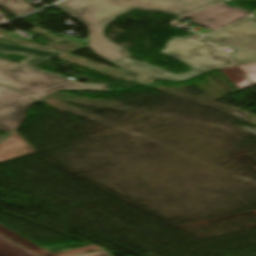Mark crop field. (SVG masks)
<instances>
[{
    "label": "crop field",
    "mask_w": 256,
    "mask_h": 256,
    "mask_svg": "<svg viewBox=\"0 0 256 256\" xmlns=\"http://www.w3.org/2000/svg\"><path fill=\"white\" fill-rule=\"evenodd\" d=\"M221 3V0H100L67 12L89 28L90 49L114 63L129 55L102 36L104 25L133 9L187 15Z\"/></svg>",
    "instance_id": "obj_1"
},
{
    "label": "crop field",
    "mask_w": 256,
    "mask_h": 256,
    "mask_svg": "<svg viewBox=\"0 0 256 256\" xmlns=\"http://www.w3.org/2000/svg\"><path fill=\"white\" fill-rule=\"evenodd\" d=\"M201 41L196 37H173L166 44L167 48L161 51L188 64L193 69V72L190 73L173 75L129 58L114 64L135 75L141 84L156 79L187 80L208 70L235 65L227 53Z\"/></svg>",
    "instance_id": "obj_2"
},
{
    "label": "crop field",
    "mask_w": 256,
    "mask_h": 256,
    "mask_svg": "<svg viewBox=\"0 0 256 256\" xmlns=\"http://www.w3.org/2000/svg\"><path fill=\"white\" fill-rule=\"evenodd\" d=\"M0 84L20 90L37 100L57 89L108 91L107 85L70 81L58 75L1 60Z\"/></svg>",
    "instance_id": "obj_3"
},
{
    "label": "crop field",
    "mask_w": 256,
    "mask_h": 256,
    "mask_svg": "<svg viewBox=\"0 0 256 256\" xmlns=\"http://www.w3.org/2000/svg\"><path fill=\"white\" fill-rule=\"evenodd\" d=\"M202 39L234 50L228 54L236 64L256 62V18L252 15Z\"/></svg>",
    "instance_id": "obj_4"
},
{
    "label": "crop field",
    "mask_w": 256,
    "mask_h": 256,
    "mask_svg": "<svg viewBox=\"0 0 256 256\" xmlns=\"http://www.w3.org/2000/svg\"><path fill=\"white\" fill-rule=\"evenodd\" d=\"M248 14L250 13L244 10L219 4L217 6L180 17L177 20L180 21L186 17H193L194 19L190 22L216 30L239 19L245 18ZM209 19H214V21L210 22Z\"/></svg>",
    "instance_id": "obj_5"
},
{
    "label": "crop field",
    "mask_w": 256,
    "mask_h": 256,
    "mask_svg": "<svg viewBox=\"0 0 256 256\" xmlns=\"http://www.w3.org/2000/svg\"><path fill=\"white\" fill-rule=\"evenodd\" d=\"M33 102L35 101L28 97L22 101L0 107V131L11 133L17 129L28 106Z\"/></svg>",
    "instance_id": "obj_6"
},
{
    "label": "crop field",
    "mask_w": 256,
    "mask_h": 256,
    "mask_svg": "<svg viewBox=\"0 0 256 256\" xmlns=\"http://www.w3.org/2000/svg\"><path fill=\"white\" fill-rule=\"evenodd\" d=\"M32 153L36 151L16 132L0 143V162Z\"/></svg>",
    "instance_id": "obj_7"
},
{
    "label": "crop field",
    "mask_w": 256,
    "mask_h": 256,
    "mask_svg": "<svg viewBox=\"0 0 256 256\" xmlns=\"http://www.w3.org/2000/svg\"><path fill=\"white\" fill-rule=\"evenodd\" d=\"M0 234L4 237L16 242L17 244L35 252L36 254H38L40 256H69V255H74V254H78V253L102 249V247L92 244L90 246H87V247H84L81 249L52 254V253L42 249L41 247L37 246L36 244L30 242L29 240L21 237L20 235L14 233L13 231L7 229L6 227H4L2 225H0Z\"/></svg>",
    "instance_id": "obj_8"
},
{
    "label": "crop field",
    "mask_w": 256,
    "mask_h": 256,
    "mask_svg": "<svg viewBox=\"0 0 256 256\" xmlns=\"http://www.w3.org/2000/svg\"><path fill=\"white\" fill-rule=\"evenodd\" d=\"M0 51L4 52H13V51H18V52H28L34 56H38L39 58L43 60H48L52 59L55 57H59L63 54L61 53H56V52H49V51H41V50H36L31 47H22V46H15L7 43L0 42Z\"/></svg>",
    "instance_id": "obj_9"
},
{
    "label": "crop field",
    "mask_w": 256,
    "mask_h": 256,
    "mask_svg": "<svg viewBox=\"0 0 256 256\" xmlns=\"http://www.w3.org/2000/svg\"><path fill=\"white\" fill-rule=\"evenodd\" d=\"M220 70L239 90L253 84L238 66L222 68Z\"/></svg>",
    "instance_id": "obj_10"
},
{
    "label": "crop field",
    "mask_w": 256,
    "mask_h": 256,
    "mask_svg": "<svg viewBox=\"0 0 256 256\" xmlns=\"http://www.w3.org/2000/svg\"><path fill=\"white\" fill-rule=\"evenodd\" d=\"M0 256H38L0 236Z\"/></svg>",
    "instance_id": "obj_11"
},
{
    "label": "crop field",
    "mask_w": 256,
    "mask_h": 256,
    "mask_svg": "<svg viewBox=\"0 0 256 256\" xmlns=\"http://www.w3.org/2000/svg\"><path fill=\"white\" fill-rule=\"evenodd\" d=\"M0 7L12 12L17 16L37 10L22 0H0Z\"/></svg>",
    "instance_id": "obj_12"
},
{
    "label": "crop field",
    "mask_w": 256,
    "mask_h": 256,
    "mask_svg": "<svg viewBox=\"0 0 256 256\" xmlns=\"http://www.w3.org/2000/svg\"><path fill=\"white\" fill-rule=\"evenodd\" d=\"M25 97V95L0 85V105Z\"/></svg>",
    "instance_id": "obj_13"
},
{
    "label": "crop field",
    "mask_w": 256,
    "mask_h": 256,
    "mask_svg": "<svg viewBox=\"0 0 256 256\" xmlns=\"http://www.w3.org/2000/svg\"><path fill=\"white\" fill-rule=\"evenodd\" d=\"M95 1L97 0H67L57 6L65 13Z\"/></svg>",
    "instance_id": "obj_14"
},
{
    "label": "crop field",
    "mask_w": 256,
    "mask_h": 256,
    "mask_svg": "<svg viewBox=\"0 0 256 256\" xmlns=\"http://www.w3.org/2000/svg\"><path fill=\"white\" fill-rule=\"evenodd\" d=\"M242 71L251 79V81L256 84V63L239 66Z\"/></svg>",
    "instance_id": "obj_15"
},
{
    "label": "crop field",
    "mask_w": 256,
    "mask_h": 256,
    "mask_svg": "<svg viewBox=\"0 0 256 256\" xmlns=\"http://www.w3.org/2000/svg\"><path fill=\"white\" fill-rule=\"evenodd\" d=\"M78 256H110V255L106 250H100V251L78 255Z\"/></svg>",
    "instance_id": "obj_16"
},
{
    "label": "crop field",
    "mask_w": 256,
    "mask_h": 256,
    "mask_svg": "<svg viewBox=\"0 0 256 256\" xmlns=\"http://www.w3.org/2000/svg\"><path fill=\"white\" fill-rule=\"evenodd\" d=\"M37 59H38V58H37ZM42 61H43V60L38 59V60L31 61V62L23 63V64L28 65V66H31V65L40 63V62H42Z\"/></svg>",
    "instance_id": "obj_17"
},
{
    "label": "crop field",
    "mask_w": 256,
    "mask_h": 256,
    "mask_svg": "<svg viewBox=\"0 0 256 256\" xmlns=\"http://www.w3.org/2000/svg\"><path fill=\"white\" fill-rule=\"evenodd\" d=\"M14 53H18V52H14ZM20 54L29 55L28 53H20ZM29 56H31V55H29ZM31 57H32V58H31V59H29V60H27V61L37 59V57H33V56H31ZM27 61H25V62H27ZM22 63H23V62H22Z\"/></svg>",
    "instance_id": "obj_18"
},
{
    "label": "crop field",
    "mask_w": 256,
    "mask_h": 256,
    "mask_svg": "<svg viewBox=\"0 0 256 256\" xmlns=\"http://www.w3.org/2000/svg\"><path fill=\"white\" fill-rule=\"evenodd\" d=\"M5 136H0V140H2Z\"/></svg>",
    "instance_id": "obj_19"
}]
</instances>
